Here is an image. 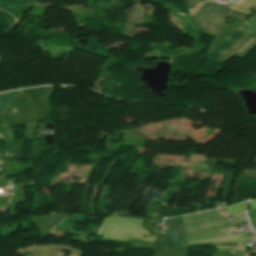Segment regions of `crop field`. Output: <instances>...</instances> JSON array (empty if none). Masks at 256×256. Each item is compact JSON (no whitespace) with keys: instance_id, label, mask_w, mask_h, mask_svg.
<instances>
[{"instance_id":"obj_1","label":"crop field","mask_w":256,"mask_h":256,"mask_svg":"<svg viewBox=\"0 0 256 256\" xmlns=\"http://www.w3.org/2000/svg\"><path fill=\"white\" fill-rule=\"evenodd\" d=\"M142 220L134 218L123 217H108L105 218L103 226L100 228L97 234H105L104 237L118 238V239H143L153 241L155 236L152 237H127L130 236H142L149 233L140 226Z\"/></svg>"},{"instance_id":"obj_2","label":"crop field","mask_w":256,"mask_h":256,"mask_svg":"<svg viewBox=\"0 0 256 256\" xmlns=\"http://www.w3.org/2000/svg\"><path fill=\"white\" fill-rule=\"evenodd\" d=\"M229 11V8L218 6L215 2H207L193 17L201 30L216 36Z\"/></svg>"},{"instance_id":"obj_3","label":"crop field","mask_w":256,"mask_h":256,"mask_svg":"<svg viewBox=\"0 0 256 256\" xmlns=\"http://www.w3.org/2000/svg\"><path fill=\"white\" fill-rule=\"evenodd\" d=\"M246 222L247 221L227 225L225 218L222 217V218H218V219H213V220H208V221L183 225V227H184V230H185V234L190 235V234L201 232V231L213 230V229H217V228L242 224V223H246Z\"/></svg>"},{"instance_id":"obj_4","label":"crop field","mask_w":256,"mask_h":256,"mask_svg":"<svg viewBox=\"0 0 256 256\" xmlns=\"http://www.w3.org/2000/svg\"><path fill=\"white\" fill-rule=\"evenodd\" d=\"M256 45V37L246 34L231 49H229L219 60L225 61L234 52L244 56ZM235 53V54H236Z\"/></svg>"},{"instance_id":"obj_5","label":"crop field","mask_w":256,"mask_h":256,"mask_svg":"<svg viewBox=\"0 0 256 256\" xmlns=\"http://www.w3.org/2000/svg\"><path fill=\"white\" fill-rule=\"evenodd\" d=\"M246 33L241 30H236L223 41H221L215 49L210 53L209 57L219 58L223 53H225L229 48H231L243 35Z\"/></svg>"},{"instance_id":"obj_6","label":"crop field","mask_w":256,"mask_h":256,"mask_svg":"<svg viewBox=\"0 0 256 256\" xmlns=\"http://www.w3.org/2000/svg\"><path fill=\"white\" fill-rule=\"evenodd\" d=\"M166 224L169 225V232H167V235L170 237V239L175 242L179 247H186V240L183 232L182 226H177L176 219L175 218H168L165 219Z\"/></svg>"},{"instance_id":"obj_7","label":"crop field","mask_w":256,"mask_h":256,"mask_svg":"<svg viewBox=\"0 0 256 256\" xmlns=\"http://www.w3.org/2000/svg\"><path fill=\"white\" fill-rule=\"evenodd\" d=\"M218 217H220V216H219L217 210H213V211L193 214V215H189V216H184L182 218H183L184 223H191V222H195V221L218 218Z\"/></svg>"},{"instance_id":"obj_8","label":"crop field","mask_w":256,"mask_h":256,"mask_svg":"<svg viewBox=\"0 0 256 256\" xmlns=\"http://www.w3.org/2000/svg\"><path fill=\"white\" fill-rule=\"evenodd\" d=\"M246 236H247V234L243 233V234H239V235H231V236H225V237H219V238L198 240V241H192V242H188V243L246 240Z\"/></svg>"},{"instance_id":"obj_9","label":"crop field","mask_w":256,"mask_h":256,"mask_svg":"<svg viewBox=\"0 0 256 256\" xmlns=\"http://www.w3.org/2000/svg\"><path fill=\"white\" fill-rule=\"evenodd\" d=\"M20 93L21 92L18 90V91L9 92V93L5 94L4 96L0 97V115H3L4 107H5L6 103L9 100H11L14 97H16Z\"/></svg>"},{"instance_id":"obj_10","label":"crop field","mask_w":256,"mask_h":256,"mask_svg":"<svg viewBox=\"0 0 256 256\" xmlns=\"http://www.w3.org/2000/svg\"><path fill=\"white\" fill-rule=\"evenodd\" d=\"M36 124H27V130L25 136L27 138H34Z\"/></svg>"},{"instance_id":"obj_11","label":"crop field","mask_w":256,"mask_h":256,"mask_svg":"<svg viewBox=\"0 0 256 256\" xmlns=\"http://www.w3.org/2000/svg\"><path fill=\"white\" fill-rule=\"evenodd\" d=\"M188 6L189 9L191 8H195L196 7V4L200 3V2H203V1H206V0H184Z\"/></svg>"},{"instance_id":"obj_12","label":"crop field","mask_w":256,"mask_h":256,"mask_svg":"<svg viewBox=\"0 0 256 256\" xmlns=\"http://www.w3.org/2000/svg\"><path fill=\"white\" fill-rule=\"evenodd\" d=\"M7 139H16L15 130L7 127Z\"/></svg>"},{"instance_id":"obj_13","label":"crop field","mask_w":256,"mask_h":256,"mask_svg":"<svg viewBox=\"0 0 256 256\" xmlns=\"http://www.w3.org/2000/svg\"><path fill=\"white\" fill-rule=\"evenodd\" d=\"M231 14L236 16L237 18H241V19H244V20H246L249 17L248 15H245L243 13L237 12L235 10H233Z\"/></svg>"},{"instance_id":"obj_14","label":"crop field","mask_w":256,"mask_h":256,"mask_svg":"<svg viewBox=\"0 0 256 256\" xmlns=\"http://www.w3.org/2000/svg\"><path fill=\"white\" fill-rule=\"evenodd\" d=\"M247 213L250 221H253L256 219V209L250 210Z\"/></svg>"},{"instance_id":"obj_15","label":"crop field","mask_w":256,"mask_h":256,"mask_svg":"<svg viewBox=\"0 0 256 256\" xmlns=\"http://www.w3.org/2000/svg\"><path fill=\"white\" fill-rule=\"evenodd\" d=\"M246 24L256 28V17L254 16L252 19H250Z\"/></svg>"},{"instance_id":"obj_16","label":"crop field","mask_w":256,"mask_h":256,"mask_svg":"<svg viewBox=\"0 0 256 256\" xmlns=\"http://www.w3.org/2000/svg\"><path fill=\"white\" fill-rule=\"evenodd\" d=\"M116 215L127 216V217H134V216H131L129 213H122V214H116ZM134 218H139V217H134ZM140 219H148V218H140Z\"/></svg>"},{"instance_id":"obj_17","label":"crop field","mask_w":256,"mask_h":256,"mask_svg":"<svg viewBox=\"0 0 256 256\" xmlns=\"http://www.w3.org/2000/svg\"><path fill=\"white\" fill-rule=\"evenodd\" d=\"M163 219L148 220L151 223H161Z\"/></svg>"},{"instance_id":"obj_18","label":"crop field","mask_w":256,"mask_h":256,"mask_svg":"<svg viewBox=\"0 0 256 256\" xmlns=\"http://www.w3.org/2000/svg\"><path fill=\"white\" fill-rule=\"evenodd\" d=\"M240 28H242V29H244V30H246V31H248V32H250L251 34H253V35L256 36V33L252 32V31H250V30H248V29H246V28H244V27H242V26H241ZM250 33H249V34H250Z\"/></svg>"},{"instance_id":"obj_19","label":"crop field","mask_w":256,"mask_h":256,"mask_svg":"<svg viewBox=\"0 0 256 256\" xmlns=\"http://www.w3.org/2000/svg\"><path fill=\"white\" fill-rule=\"evenodd\" d=\"M230 256H234V255L231 254Z\"/></svg>"},{"instance_id":"obj_20","label":"crop field","mask_w":256,"mask_h":256,"mask_svg":"<svg viewBox=\"0 0 256 256\" xmlns=\"http://www.w3.org/2000/svg\"><path fill=\"white\" fill-rule=\"evenodd\" d=\"M256 16V15H255Z\"/></svg>"}]
</instances>
